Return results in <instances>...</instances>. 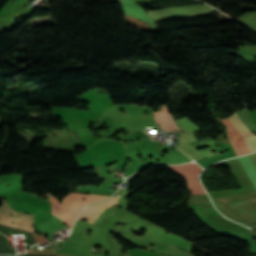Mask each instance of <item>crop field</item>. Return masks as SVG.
Wrapping results in <instances>:
<instances>
[{
  "label": "crop field",
  "mask_w": 256,
  "mask_h": 256,
  "mask_svg": "<svg viewBox=\"0 0 256 256\" xmlns=\"http://www.w3.org/2000/svg\"><path fill=\"white\" fill-rule=\"evenodd\" d=\"M237 155L251 153L256 149V136L242 123L237 112L222 120Z\"/></svg>",
  "instance_id": "8a807250"
},
{
  "label": "crop field",
  "mask_w": 256,
  "mask_h": 256,
  "mask_svg": "<svg viewBox=\"0 0 256 256\" xmlns=\"http://www.w3.org/2000/svg\"><path fill=\"white\" fill-rule=\"evenodd\" d=\"M91 196H94L93 194L90 195H81L80 193H71L69 195H67L66 197H64L62 205H60V203L58 202V200L54 197H49L50 201L52 203V213L58 217H60L62 220L65 221L66 217L68 216L69 212L71 211L72 207L81 199H87ZM105 198L104 196H94L92 198H89L87 200H81L80 202H78L72 209V211L70 212L69 216L66 219V223L71 226L72 221L74 219V217H77L79 211L86 205L96 202L98 200H101ZM75 221V219H74ZM73 221V223H74ZM73 225V224H72ZM72 227V226H71Z\"/></svg>",
  "instance_id": "ac0d7876"
},
{
  "label": "crop field",
  "mask_w": 256,
  "mask_h": 256,
  "mask_svg": "<svg viewBox=\"0 0 256 256\" xmlns=\"http://www.w3.org/2000/svg\"><path fill=\"white\" fill-rule=\"evenodd\" d=\"M0 199L3 201L2 206L0 207V217L6 218L9 220L25 222V223H29V224L34 223L33 215L27 216V215H23L21 213L14 212L7 206V204L1 197H0ZM11 214H13V216L20 215V217H18V218L11 217ZM3 218H0V225L27 231V232H31V233H34L36 231L34 224L29 225V224H24V223H20V222H15V224H11L14 221H9V220L3 219ZM37 233L39 234V232H37Z\"/></svg>",
  "instance_id": "34b2d1b8"
},
{
  "label": "crop field",
  "mask_w": 256,
  "mask_h": 256,
  "mask_svg": "<svg viewBox=\"0 0 256 256\" xmlns=\"http://www.w3.org/2000/svg\"><path fill=\"white\" fill-rule=\"evenodd\" d=\"M169 168L187 179V184L191 193H205L197 179V176L202 171V168L196 163L169 166Z\"/></svg>",
  "instance_id": "412701ff"
},
{
  "label": "crop field",
  "mask_w": 256,
  "mask_h": 256,
  "mask_svg": "<svg viewBox=\"0 0 256 256\" xmlns=\"http://www.w3.org/2000/svg\"><path fill=\"white\" fill-rule=\"evenodd\" d=\"M119 197L120 196L111 197L105 201L84 208L79 219L87 218V222L94 223L102 211L118 202Z\"/></svg>",
  "instance_id": "f4fd0767"
},
{
  "label": "crop field",
  "mask_w": 256,
  "mask_h": 256,
  "mask_svg": "<svg viewBox=\"0 0 256 256\" xmlns=\"http://www.w3.org/2000/svg\"><path fill=\"white\" fill-rule=\"evenodd\" d=\"M161 109H162V111L154 112V114L159 122V125L164 129L165 132H172V131L178 130V128L174 124V122L168 112L166 105L163 104L161 106ZM156 118H155V121H156ZM156 123H157V121H156Z\"/></svg>",
  "instance_id": "dd49c442"
},
{
  "label": "crop field",
  "mask_w": 256,
  "mask_h": 256,
  "mask_svg": "<svg viewBox=\"0 0 256 256\" xmlns=\"http://www.w3.org/2000/svg\"><path fill=\"white\" fill-rule=\"evenodd\" d=\"M91 112V111H90ZM92 113V112H91ZM93 114V113H92Z\"/></svg>",
  "instance_id": "e52e79f7"
},
{
  "label": "crop field",
  "mask_w": 256,
  "mask_h": 256,
  "mask_svg": "<svg viewBox=\"0 0 256 256\" xmlns=\"http://www.w3.org/2000/svg\"><path fill=\"white\" fill-rule=\"evenodd\" d=\"M119 192H120V191H119ZM119 192H118V193H119Z\"/></svg>",
  "instance_id": "d8731c3e"
}]
</instances>
